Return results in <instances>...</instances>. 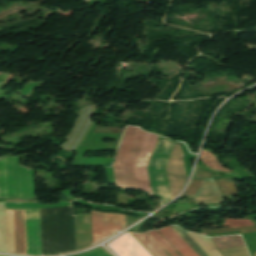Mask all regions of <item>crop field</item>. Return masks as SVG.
Here are the masks:
<instances>
[{"label":"crop field","mask_w":256,"mask_h":256,"mask_svg":"<svg viewBox=\"0 0 256 256\" xmlns=\"http://www.w3.org/2000/svg\"><path fill=\"white\" fill-rule=\"evenodd\" d=\"M5 208L39 204L5 203ZM7 252L24 254V209H5ZM25 254L41 255L39 209H25Z\"/></svg>","instance_id":"8a807250"},{"label":"crop field","mask_w":256,"mask_h":256,"mask_svg":"<svg viewBox=\"0 0 256 256\" xmlns=\"http://www.w3.org/2000/svg\"><path fill=\"white\" fill-rule=\"evenodd\" d=\"M34 197L33 170L19 166L18 156L0 159V198Z\"/></svg>","instance_id":"ac0d7876"},{"label":"crop field","mask_w":256,"mask_h":256,"mask_svg":"<svg viewBox=\"0 0 256 256\" xmlns=\"http://www.w3.org/2000/svg\"><path fill=\"white\" fill-rule=\"evenodd\" d=\"M145 133L139 128H127L113 166L116 185L137 187L133 166Z\"/></svg>","instance_id":"34b2d1b8"},{"label":"crop field","mask_w":256,"mask_h":256,"mask_svg":"<svg viewBox=\"0 0 256 256\" xmlns=\"http://www.w3.org/2000/svg\"><path fill=\"white\" fill-rule=\"evenodd\" d=\"M174 142L159 137L148 167L154 196L160 197L163 205L171 200L165 167Z\"/></svg>","instance_id":"412701ff"},{"label":"crop field","mask_w":256,"mask_h":256,"mask_svg":"<svg viewBox=\"0 0 256 256\" xmlns=\"http://www.w3.org/2000/svg\"><path fill=\"white\" fill-rule=\"evenodd\" d=\"M93 243L125 228V216L91 211Z\"/></svg>","instance_id":"f4fd0767"},{"label":"crop field","mask_w":256,"mask_h":256,"mask_svg":"<svg viewBox=\"0 0 256 256\" xmlns=\"http://www.w3.org/2000/svg\"><path fill=\"white\" fill-rule=\"evenodd\" d=\"M157 135L146 133L137 161L134 166L138 187L140 190L148 191L151 194L148 175L146 171L151 153L153 151Z\"/></svg>","instance_id":"dd49c442"},{"label":"crop field","mask_w":256,"mask_h":256,"mask_svg":"<svg viewBox=\"0 0 256 256\" xmlns=\"http://www.w3.org/2000/svg\"><path fill=\"white\" fill-rule=\"evenodd\" d=\"M171 197L174 198L183 187L187 177L183 166V155L179 145L175 144L166 167Z\"/></svg>","instance_id":"e52e79f7"},{"label":"crop field","mask_w":256,"mask_h":256,"mask_svg":"<svg viewBox=\"0 0 256 256\" xmlns=\"http://www.w3.org/2000/svg\"><path fill=\"white\" fill-rule=\"evenodd\" d=\"M110 246L120 256H150L147 251L130 235L124 234Z\"/></svg>","instance_id":"d8731c3e"},{"label":"crop field","mask_w":256,"mask_h":256,"mask_svg":"<svg viewBox=\"0 0 256 256\" xmlns=\"http://www.w3.org/2000/svg\"><path fill=\"white\" fill-rule=\"evenodd\" d=\"M159 231L179 250L183 256H197L196 253L170 227H166Z\"/></svg>","instance_id":"5a996713"},{"label":"crop field","mask_w":256,"mask_h":256,"mask_svg":"<svg viewBox=\"0 0 256 256\" xmlns=\"http://www.w3.org/2000/svg\"><path fill=\"white\" fill-rule=\"evenodd\" d=\"M153 256H167L146 234H133Z\"/></svg>","instance_id":"3316defc"},{"label":"crop field","mask_w":256,"mask_h":256,"mask_svg":"<svg viewBox=\"0 0 256 256\" xmlns=\"http://www.w3.org/2000/svg\"><path fill=\"white\" fill-rule=\"evenodd\" d=\"M218 249L244 245L240 236L212 238Z\"/></svg>","instance_id":"28ad6ade"},{"label":"crop field","mask_w":256,"mask_h":256,"mask_svg":"<svg viewBox=\"0 0 256 256\" xmlns=\"http://www.w3.org/2000/svg\"><path fill=\"white\" fill-rule=\"evenodd\" d=\"M159 239L160 241L175 255L180 256L177 251L165 240L163 239L157 231H152ZM148 232L147 234L154 240V242L168 255V256H174L160 241L159 239L152 233Z\"/></svg>","instance_id":"d1516ede"},{"label":"crop field","mask_w":256,"mask_h":256,"mask_svg":"<svg viewBox=\"0 0 256 256\" xmlns=\"http://www.w3.org/2000/svg\"><path fill=\"white\" fill-rule=\"evenodd\" d=\"M201 155V154H200ZM204 163H206L208 166L220 170V171H228L227 169L220 166L219 161L215 159L213 154L210 152L202 150V155L200 158Z\"/></svg>","instance_id":"22f410ed"},{"label":"crop field","mask_w":256,"mask_h":256,"mask_svg":"<svg viewBox=\"0 0 256 256\" xmlns=\"http://www.w3.org/2000/svg\"><path fill=\"white\" fill-rule=\"evenodd\" d=\"M187 243L188 245L199 255V256H207L198 246L197 244L181 229L176 226H171Z\"/></svg>","instance_id":"cbeb9de0"},{"label":"crop field","mask_w":256,"mask_h":256,"mask_svg":"<svg viewBox=\"0 0 256 256\" xmlns=\"http://www.w3.org/2000/svg\"><path fill=\"white\" fill-rule=\"evenodd\" d=\"M252 224L253 223L250 222L249 220L225 219V223L222 226L241 227V226H247Z\"/></svg>","instance_id":"5142ce71"},{"label":"crop field","mask_w":256,"mask_h":256,"mask_svg":"<svg viewBox=\"0 0 256 256\" xmlns=\"http://www.w3.org/2000/svg\"><path fill=\"white\" fill-rule=\"evenodd\" d=\"M201 180H194L192 179L188 188L183 192V194L180 197H190L199 186Z\"/></svg>","instance_id":"d9b57169"},{"label":"crop field","mask_w":256,"mask_h":256,"mask_svg":"<svg viewBox=\"0 0 256 256\" xmlns=\"http://www.w3.org/2000/svg\"><path fill=\"white\" fill-rule=\"evenodd\" d=\"M78 256H109V255L106 254L101 248H98L90 252L78 254Z\"/></svg>","instance_id":"733c2abd"},{"label":"crop field","mask_w":256,"mask_h":256,"mask_svg":"<svg viewBox=\"0 0 256 256\" xmlns=\"http://www.w3.org/2000/svg\"><path fill=\"white\" fill-rule=\"evenodd\" d=\"M71 204L70 202H64V201H60V203L58 204H54V205H42L41 204V208H51V207H57V206H63V205H69Z\"/></svg>","instance_id":"4a817a6b"},{"label":"crop field","mask_w":256,"mask_h":256,"mask_svg":"<svg viewBox=\"0 0 256 256\" xmlns=\"http://www.w3.org/2000/svg\"><path fill=\"white\" fill-rule=\"evenodd\" d=\"M11 77H12V75H9V76L5 79L4 82H8Z\"/></svg>","instance_id":"bc2a9ffb"},{"label":"crop field","mask_w":256,"mask_h":256,"mask_svg":"<svg viewBox=\"0 0 256 256\" xmlns=\"http://www.w3.org/2000/svg\"><path fill=\"white\" fill-rule=\"evenodd\" d=\"M0 256H8V255H0Z\"/></svg>","instance_id":"214f88e0"}]
</instances>
